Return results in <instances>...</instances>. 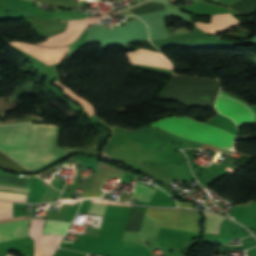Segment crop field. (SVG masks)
Returning a JSON list of instances; mask_svg holds the SVG:
<instances>
[{
  "mask_svg": "<svg viewBox=\"0 0 256 256\" xmlns=\"http://www.w3.org/2000/svg\"><path fill=\"white\" fill-rule=\"evenodd\" d=\"M29 218H9L0 220V243L28 238Z\"/></svg>",
  "mask_w": 256,
  "mask_h": 256,
  "instance_id": "crop-field-8",
  "label": "crop field"
},
{
  "mask_svg": "<svg viewBox=\"0 0 256 256\" xmlns=\"http://www.w3.org/2000/svg\"><path fill=\"white\" fill-rule=\"evenodd\" d=\"M12 217V208H0V219Z\"/></svg>",
  "mask_w": 256,
  "mask_h": 256,
  "instance_id": "crop-field-23",
  "label": "crop field"
},
{
  "mask_svg": "<svg viewBox=\"0 0 256 256\" xmlns=\"http://www.w3.org/2000/svg\"><path fill=\"white\" fill-rule=\"evenodd\" d=\"M149 126L173 133L182 138L204 142L210 145L233 149L235 135L215 126L198 122L187 117H168Z\"/></svg>",
  "mask_w": 256,
  "mask_h": 256,
  "instance_id": "crop-field-2",
  "label": "crop field"
},
{
  "mask_svg": "<svg viewBox=\"0 0 256 256\" xmlns=\"http://www.w3.org/2000/svg\"><path fill=\"white\" fill-rule=\"evenodd\" d=\"M122 135L126 140L132 143L151 147L158 150H160L162 144L169 138L144 130L142 128L133 131L124 130Z\"/></svg>",
  "mask_w": 256,
  "mask_h": 256,
  "instance_id": "crop-field-10",
  "label": "crop field"
},
{
  "mask_svg": "<svg viewBox=\"0 0 256 256\" xmlns=\"http://www.w3.org/2000/svg\"><path fill=\"white\" fill-rule=\"evenodd\" d=\"M212 22L210 24H201L196 22V26L203 31L211 34L224 32L231 27L240 25L241 23L236 18L232 17L230 13L221 15H212Z\"/></svg>",
  "mask_w": 256,
  "mask_h": 256,
  "instance_id": "crop-field-13",
  "label": "crop field"
},
{
  "mask_svg": "<svg viewBox=\"0 0 256 256\" xmlns=\"http://www.w3.org/2000/svg\"><path fill=\"white\" fill-rule=\"evenodd\" d=\"M10 44L32 54L33 56H35L36 58H38L39 60L43 61L48 65L62 60V58L65 56L68 50V47L44 48L27 45L19 42H11Z\"/></svg>",
  "mask_w": 256,
  "mask_h": 256,
  "instance_id": "crop-field-9",
  "label": "crop field"
},
{
  "mask_svg": "<svg viewBox=\"0 0 256 256\" xmlns=\"http://www.w3.org/2000/svg\"><path fill=\"white\" fill-rule=\"evenodd\" d=\"M0 189H8V190L27 192V187L6 185V184H0ZM0 198L14 200V201H20V202H26V195H23V194L0 192Z\"/></svg>",
  "mask_w": 256,
  "mask_h": 256,
  "instance_id": "crop-field-16",
  "label": "crop field"
},
{
  "mask_svg": "<svg viewBox=\"0 0 256 256\" xmlns=\"http://www.w3.org/2000/svg\"><path fill=\"white\" fill-rule=\"evenodd\" d=\"M216 109L223 115L231 117L237 125L247 122L254 123L256 120V116L251 108L240 100L232 98L222 92H220L218 96Z\"/></svg>",
  "mask_w": 256,
  "mask_h": 256,
  "instance_id": "crop-field-4",
  "label": "crop field"
},
{
  "mask_svg": "<svg viewBox=\"0 0 256 256\" xmlns=\"http://www.w3.org/2000/svg\"><path fill=\"white\" fill-rule=\"evenodd\" d=\"M206 221L204 223L205 231L207 233H219V225L223 221L224 217H220L211 213H204Z\"/></svg>",
  "mask_w": 256,
  "mask_h": 256,
  "instance_id": "crop-field-18",
  "label": "crop field"
},
{
  "mask_svg": "<svg viewBox=\"0 0 256 256\" xmlns=\"http://www.w3.org/2000/svg\"><path fill=\"white\" fill-rule=\"evenodd\" d=\"M148 36L141 37H124V38H101V39H87L85 44L99 43L105 46L109 45H126L132 43V40H146ZM84 44V45H85Z\"/></svg>",
  "mask_w": 256,
  "mask_h": 256,
  "instance_id": "crop-field-15",
  "label": "crop field"
},
{
  "mask_svg": "<svg viewBox=\"0 0 256 256\" xmlns=\"http://www.w3.org/2000/svg\"><path fill=\"white\" fill-rule=\"evenodd\" d=\"M7 256H12V255H9V254H8Z\"/></svg>",
  "mask_w": 256,
  "mask_h": 256,
  "instance_id": "crop-field-25",
  "label": "crop field"
},
{
  "mask_svg": "<svg viewBox=\"0 0 256 256\" xmlns=\"http://www.w3.org/2000/svg\"><path fill=\"white\" fill-rule=\"evenodd\" d=\"M159 226L196 232L199 217L194 210L148 208L146 213Z\"/></svg>",
  "mask_w": 256,
  "mask_h": 256,
  "instance_id": "crop-field-3",
  "label": "crop field"
},
{
  "mask_svg": "<svg viewBox=\"0 0 256 256\" xmlns=\"http://www.w3.org/2000/svg\"><path fill=\"white\" fill-rule=\"evenodd\" d=\"M107 202L105 200H91L87 213L103 216Z\"/></svg>",
  "mask_w": 256,
  "mask_h": 256,
  "instance_id": "crop-field-21",
  "label": "crop field"
},
{
  "mask_svg": "<svg viewBox=\"0 0 256 256\" xmlns=\"http://www.w3.org/2000/svg\"><path fill=\"white\" fill-rule=\"evenodd\" d=\"M126 54L130 60V63L133 64H143L162 67L165 69H172L171 63L161 53L158 52L141 49L139 51Z\"/></svg>",
  "mask_w": 256,
  "mask_h": 256,
  "instance_id": "crop-field-11",
  "label": "crop field"
},
{
  "mask_svg": "<svg viewBox=\"0 0 256 256\" xmlns=\"http://www.w3.org/2000/svg\"><path fill=\"white\" fill-rule=\"evenodd\" d=\"M104 17H92L83 20H70L67 24V29L65 32L48 38L37 44H42L46 46H62L73 42L82 30L89 26L90 24L102 19Z\"/></svg>",
  "mask_w": 256,
  "mask_h": 256,
  "instance_id": "crop-field-6",
  "label": "crop field"
},
{
  "mask_svg": "<svg viewBox=\"0 0 256 256\" xmlns=\"http://www.w3.org/2000/svg\"><path fill=\"white\" fill-rule=\"evenodd\" d=\"M139 17L148 25L150 39L169 37L163 22L165 19V10L139 15Z\"/></svg>",
  "mask_w": 256,
  "mask_h": 256,
  "instance_id": "crop-field-12",
  "label": "crop field"
},
{
  "mask_svg": "<svg viewBox=\"0 0 256 256\" xmlns=\"http://www.w3.org/2000/svg\"><path fill=\"white\" fill-rule=\"evenodd\" d=\"M124 171L108 164L98 162L97 171L92 182L83 180L80 188L84 189L81 197H100L99 193L107 175L121 178Z\"/></svg>",
  "mask_w": 256,
  "mask_h": 256,
  "instance_id": "crop-field-7",
  "label": "crop field"
},
{
  "mask_svg": "<svg viewBox=\"0 0 256 256\" xmlns=\"http://www.w3.org/2000/svg\"><path fill=\"white\" fill-rule=\"evenodd\" d=\"M55 128L36 124L0 127V150L30 171L79 150L53 148Z\"/></svg>",
  "mask_w": 256,
  "mask_h": 256,
  "instance_id": "crop-field-1",
  "label": "crop field"
},
{
  "mask_svg": "<svg viewBox=\"0 0 256 256\" xmlns=\"http://www.w3.org/2000/svg\"><path fill=\"white\" fill-rule=\"evenodd\" d=\"M70 223L57 222V221H46L44 233H53V234H65Z\"/></svg>",
  "mask_w": 256,
  "mask_h": 256,
  "instance_id": "crop-field-19",
  "label": "crop field"
},
{
  "mask_svg": "<svg viewBox=\"0 0 256 256\" xmlns=\"http://www.w3.org/2000/svg\"><path fill=\"white\" fill-rule=\"evenodd\" d=\"M178 207H191L193 208V204H190V203H178Z\"/></svg>",
  "mask_w": 256,
  "mask_h": 256,
  "instance_id": "crop-field-24",
  "label": "crop field"
},
{
  "mask_svg": "<svg viewBox=\"0 0 256 256\" xmlns=\"http://www.w3.org/2000/svg\"><path fill=\"white\" fill-rule=\"evenodd\" d=\"M143 217V213L132 207L125 231L139 232L141 229Z\"/></svg>",
  "mask_w": 256,
  "mask_h": 256,
  "instance_id": "crop-field-17",
  "label": "crop field"
},
{
  "mask_svg": "<svg viewBox=\"0 0 256 256\" xmlns=\"http://www.w3.org/2000/svg\"><path fill=\"white\" fill-rule=\"evenodd\" d=\"M45 220L32 219L30 236L34 239V256H51L55 251L61 235H42ZM62 240V239H61Z\"/></svg>",
  "mask_w": 256,
  "mask_h": 256,
  "instance_id": "crop-field-5",
  "label": "crop field"
},
{
  "mask_svg": "<svg viewBox=\"0 0 256 256\" xmlns=\"http://www.w3.org/2000/svg\"><path fill=\"white\" fill-rule=\"evenodd\" d=\"M154 192H155V190L150 189L140 183H137V185L135 187L134 198H136L140 201L148 202L150 200V198L152 197V195L154 194Z\"/></svg>",
  "mask_w": 256,
  "mask_h": 256,
  "instance_id": "crop-field-20",
  "label": "crop field"
},
{
  "mask_svg": "<svg viewBox=\"0 0 256 256\" xmlns=\"http://www.w3.org/2000/svg\"><path fill=\"white\" fill-rule=\"evenodd\" d=\"M56 80L54 81L53 84L61 87L65 93V96H67L73 102L78 104L83 109V111H85L87 117L97 113L96 110L92 107V105L88 101L78 97L69 88L65 87L64 85H62L60 82Z\"/></svg>",
  "mask_w": 256,
  "mask_h": 256,
  "instance_id": "crop-field-14",
  "label": "crop field"
},
{
  "mask_svg": "<svg viewBox=\"0 0 256 256\" xmlns=\"http://www.w3.org/2000/svg\"><path fill=\"white\" fill-rule=\"evenodd\" d=\"M1 81V80H0Z\"/></svg>",
  "mask_w": 256,
  "mask_h": 256,
  "instance_id": "crop-field-26",
  "label": "crop field"
},
{
  "mask_svg": "<svg viewBox=\"0 0 256 256\" xmlns=\"http://www.w3.org/2000/svg\"><path fill=\"white\" fill-rule=\"evenodd\" d=\"M0 166L12 168V169L23 170V171H28V170L24 169L23 167H21L19 164H17L15 161H13L8 156L2 154L1 152H0Z\"/></svg>",
  "mask_w": 256,
  "mask_h": 256,
  "instance_id": "crop-field-22",
  "label": "crop field"
}]
</instances>
